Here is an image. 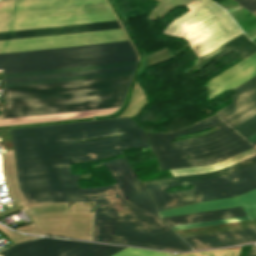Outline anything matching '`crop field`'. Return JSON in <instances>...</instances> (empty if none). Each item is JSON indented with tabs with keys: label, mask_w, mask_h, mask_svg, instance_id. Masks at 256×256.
<instances>
[{
	"label": "crop field",
	"mask_w": 256,
	"mask_h": 256,
	"mask_svg": "<svg viewBox=\"0 0 256 256\" xmlns=\"http://www.w3.org/2000/svg\"><path fill=\"white\" fill-rule=\"evenodd\" d=\"M22 192L78 187L70 162H86L149 144L130 119L13 129ZM119 136L85 141L90 138ZM118 184L23 193L28 202L96 201L93 240L171 251L191 248L158 216L126 159L104 163Z\"/></svg>",
	"instance_id": "crop-field-1"
},
{
	"label": "crop field",
	"mask_w": 256,
	"mask_h": 256,
	"mask_svg": "<svg viewBox=\"0 0 256 256\" xmlns=\"http://www.w3.org/2000/svg\"><path fill=\"white\" fill-rule=\"evenodd\" d=\"M132 75L9 87L0 119L120 107Z\"/></svg>",
	"instance_id": "crop-field-2"
},
{
	"label": "crop field",
	"mask_w": 256,
	"mask_h": 256,
	"mask_svg": "<svg viewBox=\"0 0 256 256\" xmlns=\"http://www.w3.org/2000/svg\"><path fill=\"white\" fill-rule=\"evenodd\" d=\"M219 125L222 129L197 138L167 143L174 137ZM228 127V126H227ZM215 115L193 126L171 132L146 133L160 171L212 164L253 148Z\"/></svg>",
	"instance_id": "crop-field-3"
},
{
	"label": "crop field",
	"mask_w": 256,
	"mask_h": 256,
	"mask_svg": "<svg viewBox=\"0 0 256 256\" xmlns=\"http://www.w3.org/2000/svg\"><path fill=\"white\" fill-rule=\"evenodd\" d=\"M113 20L106 0L0 1V32Z\"/></svg>",
	"instance_id": "crop-field-4"
},
{
	"label": "crop field",
	"mask_w": 256,
	"mask_h": 256,
	"mask_svg": "<svg viewBox=\"0 0 256 256\" xmlns=\"http://www.w3.org/2000/svg\"><path fill=\"white\" fill-rule=\"evenodd\" d=\"M137 60L129 41L0 54L4 74Z\"/></svg>",
	"instance_id": "crop-field-5"
},
{
	"label": "crop field",
	"mask_w": 256,
	"mask_h": 256,
	"mask_svg": "<svg viewBox=\"0 0 256 256\" xmlns=\"http://www.w3.org/2000/svg\"><path fill=\"white\" fill-rule=\"evenodd\" d=\"M186 6L190 11L170 23L163 33L186 39L198 57L243 33L211 0H195Z\"/></svg>",
	"instance_id": "crop-field-6"
},
{
	"label": "crop field",
	"mask_w": 256,
	"mask_h": 256,
	"mask_svg": "<svg viewBox=\"0 0 256 256\" xmlns=\"http://www.w3.org/2000/svg\"><path fill=\"white\" fill-rule=\"evenodd\" d=\"M185 184H192L194 189L170 194L164 191ZM254 188H256V163L224 176L146 187L159 211L180 204L236 196Z\"/></svg>",
	"instance_id": "crop-field-7"
},
{
	"label": "crop field",
	"mask_w": 256,
	"mask_h": 256,
	"mask_svg": "<svg viewBox=\"0 0 256 256\" xmlns=\"http://www.w3.org/2000/svg\"><path fill=\"white\" fill-rule=\"evenodd\" d=\"M124 247L39 238L15 245L2 252L4 256H111Z\"/></svg>",
	"instance_id": "crop-field-8"
},
{
	"label": "crop field",
	"mask_w": 256,
	"mask_h": 256,
	"mask_svg": "<svg viewBox=\"0 0 256 256\" xmlns=\"http://www.w3.org/2000/svg\"><path fill=\"white\" fill-rule=\"evenodd\" d=\"M122 28L0 41V53L124 41Z\"/></svg>",
	"instance_id": "crop-field-9"
},
{
	"label": "crop field",
	"mask_w": 256,
	"mask_h": 256,
	"mask_svg": "<svg viewBox=\"0 0 256 256\" xmlns=\"http://www.w3.org/2000/svg\"><path fill=\"white\" fill-rule=\"evenodd\" d=\"M232 90L233 103L215 114L247 139L256 134V76Z\"/></svg>",
	"instance_id": "crop-field-10"
},
{
	"label": "crop field",
	"mask_w": 256,
	"mask_h": 256,
	"mask_svg": "<svg viewBox=\"0 0 256 256\" xmlns=\"http://www.w3.org/2000/svg\"><path fill=\"white\" fill-rule=\"evenodd\" d=\"M242 206L246 211L250 219L256 217V189L246 192L244 194L238 195L236 197L192 203L188 205L179 206L176 208L160 211V216H171L179 215L193 212H201L222 208H230Z\"/></svg>",
	"instance_id": "crop-field-11"
},
{
	"label": "crop field",
	"mask_w": 256,
	"mask_h": 256,
	"mask_svg": "<svg viewBox=\"0 0 256 256\" xmlns=\"http://www.w3.org/2000/svg\"><path fill=\"white\" fill-rule=\"evenodd\" d=\"M255 75L256 53L209 80L205 88L210 91L211 98L225 90L236 87Z\"/></svg>",
	"instance_id": "crop-field-12"
},
{
	"label": "crop field",
	"mask_w": 256,
	"mask_h": 256,
	"mask_svg": "<svg viewBox=\"0 0 256 256\" xmlns=\"http://www.w3.org/2000/svg\"><path fill=\"white\" fill-rule=\"evenodd\" d=\"M194 250L256 241V227L183 238Z\"/></svg>",
	"instance_id": "crop-field-13"
},
{
	"label": "crop field",
	"mask_w": 256,
	"mask_h": 256,
	"mask_svg": "<svg viewBox=\"0 0 256 256\" xmlns=\"http://www.w3.org/2000/svg\"><path fill=\"white\" fill-rule=\"evenodd\" d=\"M235 50H237L239 55L244 59L252 53L256 52V44L248 40L243 33L235 37L234 39L226 42L225 44L217 47L216 49L208 52L207 54L199 57L195 66L186 70V74L195 68L199 69L206 64L212 62L213 60Z\"/></svg>",
	"instance_id": "crop-field-14"
},
{
	"label": "crop field",
	"mask_w": 256,
	"mask_h": 256,
	"mask_svg": "<svg viewBox=\"0 0 256 256\" xmlns=\"http://www.w3.org/2000/svg\"><path fill=\"white\" fill-rule=\"evenodd\" d=\"M117 27H120L118 21H113V22H103V23H93V24L63 26V27L3 32V33H0V40L11 39V38H21V37L40 36V35L59 34V33L78 32V31L107 29V28H117Z\"/></svg>",
	"instance_id": "crop-field-15"
},
{
	"label": "crop field",
	"mask_w": 256,
	"mask_h": 256,
	"mask_svg": "<svg viewBox=\"0 0 256 256\" xmlns=\"http://www.w3.org/2000/svg\"><path fill=\"white\" fill-rule=\"evenodd\" d=\"M241 207L162 218L170 226L244 216Z\"/></svg>",
	"instance_id": "crop-field-16"
},
{
	"label": "crop field",
	"mask_w": 256,
	"mask_h": 256,
	"mask_svg": "<svg viewBox=\"0 0 256 256\" xmlns=\"http://www.w3.org/2000/svg\"><path fill=\"white\" fill-rule=\"evenodd\" d=\"M116 109H106V110H96V111H86V112H76V113H66L57 115H47V116H37V117H27V118H17V119H7L0 120V126L7 125H18V124H29V123H39V122H49L58 121L66 119H75L83 117H92L98 115H108L117 111Z\"/></svg>",
	"instance_id": "crop-field-17"
},
{
	"label": "crop field",
	"mask_w": 256,
	"mask_h": 256,
	"mask_svg": "<svg viewBox=\"0 0 256 256\" xmlns=\"http://www.w3.org/2000/svg\"><path fill=\"white\" fill-rule=\"evenodd\" d=\"M135 66L136 65L94 69V70H84V71H75V72L56 73V74H46V75H37V76H27V77H18V78H8V79H4V83L39 80V79H49V78H59V77H69V76H79V75H89V74H99V73H109V72H119V71H129V70H134Z\"/></svg>",
	"instance_id": "crop-field-18"
},
{
	"label": "crop field",
	"mask_w": 256,
	"mask_h": 256,
	"mask_svg": "<svg viewBox=\"0 0 256 256\" xmlns=\"http://www.w3.org/2000/svg\"><path fill=\"white\" fill-rule=\"evenodd\" d=\"M255 155H256V150H255V148H253L251 150H248L244 153H241L239 155H236L234 157H231L229 159H226V160H224L222 162H219L217 164H214V165H205V166L173 169V170H170V171L173 174V176L212 171V170H217V169L229 166L231 164L237 163L239 161L245 160V159L250 158V157L255 156Z\"/></svg>",
	"instance_id": "crop-field-19"
},
{
	"label": "crop field",
	"mask_w": 256,
	"mask_h": 256,
	"mask_svg": "<svg viewBox=\"0 0 256 256\" xmlns=\"http://www.w3.org/2000/svg\"><path fill=\"white\" fill-rule=\"evenodd\" d=\"M254 162H256V156L253 157V158L247 159L245 161H242L240 163H237L235 165L224 168L222 170L208 172V173H201V174L171 177V178H165V179H160V180H155V181H149V182H144L143 185L148 186V185H155V184H162V183H169V182H176V181H183V180H191V179H198V178L224 175L226 173L237 170L239 168H242V167L247 166L249 164H252Z\"/></svg>",
	"instance_id": "crop-field-20"
},
{
	"label": "crop field",
	"mask_w": 256,
	"mask_h": 256,
	"mask_svg": "<svg viewBox=\"0 0 256 256\" xmlns=\"http://www.w3.org/2000/svg\"><path fill=\"white\" fill-rule=\"evenodd\" d=\"M132 64H137V61L114 63V64H104V65H94V66H85V67H75V68H66V69H56V70H47V71L27 72V73H18V74H8V75H4V78L27 76V75H37V74H46V73H56V72H65V71L84 70V69H94V68H103V67H113V66H122V65H132Z\"/></svg>",
	"instance_id": "crop-field-21"
},
{
	"label": "crop field",
	"mask_w": 256,
	"mask_h": 256,
	"mask_svg": "<svg viewBox=\"0 0 256 256\" xmlns=\"http://www.w3.org/2000/svg\"><path fill=\"white\" fill-rule=\"evenodd\" d=\"M133 72L134 71L109 73V74H99V75H89V76H79V77H69V78H59V79H49V80H39V81H29V82H19V83H9V84H4V86L9 87V86H19V85H29V84H39V83H49V82H59V81H69V80H79V79L129 75V74H133Z\"/></svg>",
	"instance_id": "crop-field-22"
},
{
	"label": "crop field",
	"mask_w": 256,
	"mask_h": 256,
	"mask_svg": "<svg viewBox=\"0 0 256 256\" xmlns=\"http://www.w3.org/2000/svg\"><path fill=\"white\" fill-rule=\"evenodd\" d=\"M242 246L240 247H236V248H230V249H222V250H213V251H205V252H195V253H183V254H176V255H172V256H224L227 253V256H230L232 251L233 255L232 256H238L240 249Z\"/></svg>",
	"instance_id": "crop-field-23"
},
{
	"label": "crop field",
	"mask_w": 256,
	"mask_h": 256,
	"mask_svg": "<svg viewBox=\"0 0 256 256\" xmlns=\"http://www.w3.org/2000/svg\"><path fill=\"white\" fill-rule=\"evenodd\" d=\"M246 220H249V219H248L247 216H244V217H237V218H230V219H223V220H216V221H209V222H202V223L174 226L172 228L174 230H178V229H186V228L201 227V226H208V225H216V224H223V223L246 221Z\"/></svg>",
	"instance_id": "crop-field-24"
},
{
	"label": "crop field",
	"mask_w": 256,
	"mask_h": 256,
	"mask_svg": "<svg viewBox=\"0 0 256 256\" xmlns=\"http://www.w3.org/2000/svg\"><path fill=\"white\" fill-rule=\"evenodd\" d=\"M170 253L127 248L113 256H167Z\"/></svg>",
	"instance_id": "crop-field-25"
},
{
	"label": "crop field",
	"mask_w": 256,
	"mask_h": 256,
	"mask_svg": "<svg viewBox=\"0 0 256 256\" xmlns=\"http://www.w3.org/2000/svg\"><path fill=\"white\" fill-rule=\"evenodd\" d=\"M235 1H237L243 7H245L254 15H256V0H235Z\"/></svg>",
	"instance_id": "crop-field-26"
},
{
	"label": "crop field",
	"mask_w": 256,
	"mask_h": 256,
	"mask_svg": "<svg viewBox=\"0 0 256 256\" xmlns=\"http://www.w3.org/2000/svg\"><path fill=\"white\" fill-rule=\"evenodd\" d=\"M247 256H256V246H252V249Z\"/></svg>",
	"instance_id": "crop-field-27"
},
{
	"label": "crop field",
	"mask_w": 256,
	"mask_h": 256,
	"mask_svg": "<svg viewBox=\"0 0 256 256\" xmlns=\"http://www.w3.org/2000/svg\"><path fill=\"white\" fill-rule=\"evenodd\" d=\"M247 140L250 141L251 143L256 141V135L252 136L251 138H249Z\"/></svg>",
	"instance_id": "crop-field-28"
},
{
	"label": "crop field",
	"mask_w": 256,
	"mask_h": 256,
	"mask_svg": "<svg viewBox=\"0 0 256 256\" xmlns=\"http://www.w3.org/2000/svg\"><path fill=\"white\" fill-rule=\"evenodd\" d=\"M254 146L256 145V142L252 143Z\"/></svg>",
	"instance_id": "crop-field-29"
},
{
	"label": "crop field",
	"mask_w": 256,
	"mask_h": 256,
	"mask_svg": "<svg viewBox=\"0 0 256 256\" xmlns=\"http://www.w3.org/2000/svg\"><path fill=\"white\" fill-rule=\"evenodd\" d=\"M1 256V255H0Z\"/></svg>",
	"instance_id": "crop-field-30"
},
{
	"label": "crop field",
	"mask_w": 256,
	"mask_h": 256,
	"mask_svg": "<svg viewBox=\"0 0 256 256\" xmlns=\"http://www.w3.org/2000/svg\"><path fill=\"white\" fill-rule=\"evenodd\" d=\"M256 147V146H255Z\"/></svg>",
	"instance_id": "crop-field-31"
}]
</instances>
